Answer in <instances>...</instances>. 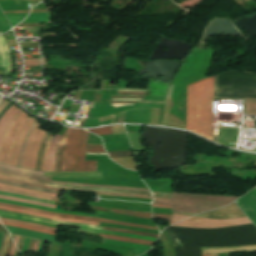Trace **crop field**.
Wrapping results in <instances>:
<instances>
[{"mask_svg": "<svg viewBox=\"0 0 256 256\" xmlns=\"http://www.w3.org/2000/svg\"><path fill=\"white\" fill-rule=\"evenodd\" d=\"M173 242L176 256H201V248L256 245V227L253 224L220 228L165 229Z\"/></svg>", "mask_w": 256, "mask_h": 256, "instance_id": "obj_1", "label": "crop field"}, {"mask_svg": "<svg viewBox=\"0 0 256 256\" xmlns=\"http://www.w3.org/2000/svg\"><path fill=\"white\" fill-rule=\"evenodd\" d=\"M214 76L187 86V126L212 141Z\"/></svg>", "mask_w": 256, "mask_h": 256, "instance_id": "obj_2", "label": "crop field"}, {"mask_svg": "<svg viewBox=\"0 0 256 256\" xmlns=\"http://www.w3.org/2000/svg\"><path fill=\"white\" fill-rule=\"evenodd\" d=\"M88 132L68 128L58 149L64 156L63 171H96V161H84L85 152H105L102 146L86 145Z\"/></svg>", "mask_w": 256, "mask_h": 256, "instance_id": "obj_3", "label": "crop field"}, {"mask_svg": "<svg viewBox=\"0 0 256 256\" xmlns=\"http://www.w3.org/2000/svg\"><path fill=\"white\" fill-rule=\"evenodd\" d=\"M236 199L235 197L227 196L173 193L172 199H169L172 202L153 200V203L171 205L173 213L194 215L224 207Z\"/></svg>", "mask_w": 256, "mask_h": 256, "instance_id": "obj_4", "label": "crop field"}, {"mask_svg": "<svg viewBox=\"0 0 256 256\" xmlns=\"http://www.w3.org/2000/svg\"><path fill=\"white\" fill-rule=\"evenodd\" d=\"M30 119L31 118L23 112L11 125L2 147L0 156L1 163L12 164L19 136Z\"/></svg>", "mask_w": 256, "mask_h": 256, "instance_id": "obj_5", "label": "crop field"}, {"mask_svg": "<svg viewBox=\"0 0 256 256\" xmlns=\"http://www.w3.org/2000/svg\"><path fill=\"white\" fill-rule=\"evenodd\" d=\"M0 216L8 217V218H14V219H20V220H24V221H29V222L49 226V227H56L58 223H61V224H66V225H71V226H81L80 230H82V231H89V232L102 233V234L120 235V236H126V237H133V238H140V239L156 241V239H154V238H148V237H141V236H134V235L104 231V230H102V227L48 220V219L37 218V217L17 214V213L8 212V211H1L0 210Z\"/></svg>", "mask_w": 256, "mask_h": 256, "instance_id": "obj_6", "label": "crop field"}, {"mask_svg": "<svg viewBox=\"0 0 256 256\" xmlns=\"http://www.w3.org/2000/svg\"><path fill=\"white\" fill-rule=\"evenodd\" d=\"M249 223L251 222L247 219V217L225 219V220L190 217L173 226L189 227V228H219V227L235 226V225H242V224H249Z\"/></svg>", "mask_w": 256, "mask_h": 256, "instance_id": "obj_7", "label": "crop field"}, {"mask_svg": "<svg viewBox=\"0 0 256 256\" xmlns=\"http://www.w3.org/2000/svg\"><path fill=\"white\" fill-rule=\"evenodd\" d=\"M39 127L40 125L38 123L28 139L21 167L31 168L33 170L35 168L40 142L46 133L45 131L40 130Z\"/></svg>", "mask_w": 256, "mask_h": 256, "instance_id": "obj_8", "label": "crop field"}, {"mask_svg": "<svg viewBox=\"0 0 256 256\" xmlns=\"http://www.w3.org/2000/svg\"><path fill=\"white\" fill-rule=\"evenodd\" d=\"M0 175L1 176H7V177L24 179V180H28V181H32V182H36V183H42V184H47V185L57 186V187H65V188H73V189H84V190L111 191V192H121V193H128V194H137V195L151 196L149 191H137V190H127V189H114V188H95V187H85V186H78V185L46 183V182L39 181V180L23 178V177L9 175V174H5V173H0Z\"/></svg>", "mask_w": 256, "mask_h": 256, "instance_id": "obj_9", "label": "crop field"}, {"mask_svg": "<svg viewBox=\"0 0 256 256\" xmlns=\"http://www.w3.org/2000/svg\"><path fill=\"white\" fill-rule=\"evenodd\" d=\"M0 205L9 206V207H15V208H19V209H23V210H28V211H33V212H38V213H42V214L60 216V217H65V218H73V219H82V220H91V221L107 222V223H113V224H119V225H125V226H133V227H140V228H147V229H155V230H158L157 228L146 227V226H140V225H135V224L123 223V222H117V221H112V220H107V219H101V218H88V217H81V216L68 215V214H61V213L45 212V211H40V210H36V209H31V208H26V207H21V206L6 204V203H0Z\"/></svg>", "mask_w": 256, "mask_h": 256, "instance_id": "obj_10", "label": "crop field"}, {"mask_svg": "<svg viewBox=\"0 0 256 256\" xmlns=\"http://www.w3.org/2000/svg\"><path fill=\"white\" fill-rule=\"evenodd\" d=\"M236 203L256 225V190L254 189L247 195L241 197Z\"/></svg>", "mask_w": 256, "mask_h": 256, "instance_id": "obj_11", "label": "crop field"}, {"mask_svg": "<svg viewBox=\"0 0 256 256\" xmlns=\"http://www.w3.org/2000/svg\"><path fill=\"white\" fill-rule=\"evenodd\" d=\"M198 217H207V218H233V217H242L245 216L243 212L238 208V206L233 203L225 208H222L220 210L198 214L196 215Z\"/></svg>", "mask_w": 256, "mask_h": 256, "instance_id": "obj_12", "label": "crop field"}, {"mask_svg": "<svg viewBox=\"0 0 256 256\" xmlns=\"http://www.w3.org/2000/svg\"><path fill=\"white\" fill-rule=\"evenodd\" d=\"M5 227L10 233H13V234L23 235V236H28V237H33V238H38V239H43L48 241L54 240L53 235L40 233V232L27 230V229H22V228H17V227H10V226H5Z\"/></svg>", "mask_w": 256, "mask_h": 256, "instance_id": "obj_13", "label": "crop field"}, {"mask_svg": "<svg viewBox=\"0 0 256 256\" xmlns=\"http://www.w3.org/2000/svg\"><path fill=\"white\" fill-rule=\"evenodd\" d=\"M0 209L1 210H9V211L17 212V213L29 214V215L38 216V217L50 218V219H54V220L69 221V222H76V223H83V224L98 225V226H100V224L96 223V222L65 219V218H60V217H54V216H48V215H42V214H37V213H33V212L18 210V209L9 208V207L0 206Z\"/></svg>", "mask_w": 256, "mask_h": 256, "instance_id": "obj_14", "label": "crop field"}, {"mask_svg": "<svg viewBox=\"0 0 256 256\" xmlns=\"http://www.w3.org/2000/svg\"><path fill=\"white\" fill-rule=\"evenodd\" d=\"M0 66L5 68V73H10L11 59L3 35L0 36Z\"/></svg>", "mask_w": 256, "mask_h": 256, "instance_id": "obj_15", "label": "crop field"}, {"mask_svg": "<svg viewBox=\"0 0 256 256\" xmlns=\"http://www.w3.org/2000/svg\"><path fill=\"white\" fill-rule=\"evenodd\" d=\"M1 172L5 173H10V174H15L19 176H24V177H29V178H36L39 180L46 179L47 182H58V181H51L50 177H41V176H36V175H31V174H25V173H20V172H15V171H9V170H3L0 169ZM58 183H68V184H78V185H87V186H97V187H113V186H99V185H88V184H80V183H70V182H58ZM114 188H127V187H114ZM128 189H141V188H128ZM142 190H148V189H142Z\"/></svg>", "mask_w": 256, "mask_h": 256, "instance_id": "obj_16", "label": "crop field"}, {"mask_svg": "<svg viewBox=\"0 0 256 256\" xmlns=\"http://www.w3.org/2000/svg\"><path fill=\"white\" fill-rule=\"evenodd\" d=\"M60 138H61V136L56 135V137L54 138V140L52 141V143L49 147L48 159H47V165H46L45 171H53L55 155H56V150H57V144H58Z\"/></svg>", "mask_w": 256, "mask_h": 256, "instance_id": "obj_17", "label": "crop field"}, {"mask_svg": "<svg viewBox=\"0 0 256 256\" xmlns=\"http://www.w3.org/2000/svg\"><path fill=\"white\" fill-rule=\"evenodd\" d=\"M0 202H6V203H11V204L26 206V207H31V208L45 210V211L61 212V213L84 215V216H92V217L96 216V215H93V214L74 212V211H67V210H59V209H51V208H44V207H40V206H36V205H32V204H26V203H20V202H12V201H6V200H1V199H0Z\"/></svg>", "mask_w": 256, "mask_h": 256, "instance_id": "obj_18", "label": "crop field"}, {"mask_svg": "<svg viewBox=\"0 0 256 256\" xmlns=\"http://www.w3.org/2000/svg\"><path fill=\"white\" fill-rule=\"evenodd\" d=\"M90 209L104 210V211H108V212L119 213V214L129 215V216H133V217L151 219V213L121 211V210H113V209H109V208H98V207H90Z\"/></svg>", "mask_w": 256, "mask_h": 256, "instance_id": "obj_19", "label": "crop field"}, {"mask_svg": "<svg viewBox=\"0 0 256 256\" xmlns=\"http://www.w3.org/2000/svg\"><path fill=\"white\" fill-rule=\"evenodd\" d=\"M30 22H49V14L48 13L29 14L27 19L22 23H30Z\"/></svg>", "mask_w": 256, "mask_h": 256, "instance_id": "obj_20", "label": "crop field"}, {"mask_svg": "<svg viewBox=\"0 0 256 256\" xmlns=\"http://www.w3.org/2000/svg\"><path fill=\"white\" fill-rule=\"evenodd\" d=\"M100 235L102 237L108 238V239L129 241V242H133V243H137V244H143V245H149V246H153V244H154V242H152V241H145V240H139V239L125 238V237H117V236H110V235H102V234H100Z\"/></svg>", "mask_w": 256, "mask_h": 256, "instance_id": "obj_21", "label": "crop field"}, {"mask_svg": "<svg viewBox=\"0 0 256 256\" xmlns=\"http://www.w3.org/2000/svg\"><path fill=\"white\" fill-rule=\"evenodd\" d=\"M102 243L123 245V246L132 247V248H140V249H146V250H149L151 248L149 246L137 245V244H133V243H129V242L111 241V240H104V239H103Z\"/></svg>", "mask_w": 256, "mask_h": 256, "instance_id": "obj_22", "label": "crop field"}, {"mask_svg": "<svg viewBox=\"0 0 256 256\" xmlns=\"http://www.w3.org/2000/svg\"><path fill=\"white\" fill-rule=\"evenodd\" d=\"M103 229L111 230V231H116V232H123V233H130V234L154 237V238H157V236H158L156 234L145 233V232H140V231H133V230L115 229V228H107V227H103Z\"/></svg>", "mask_w": 256, "mask_h": 256, "instance_id": "obj_23", "label": "crop field"}, {"mask_svg": "<svg viewBox=\"0 0 256 256\" xmlns=\"http://www.w3.org/2000/svg\"><path fill=\"white\" fill-rule=\"evenodd\" d=\"M0 183L8 184V185H14V186H19V187H24V188H29V189H34V190H39V191H44V192H49V193H54V194H58L59 193L57 191L46 190V189L39 188V187H33V186H28V185H23V184L3 181V180H0Z\"/></svg>", "mask_w": 256, "mask_h": 256, "instance_id": "obj_24", "label": "crop field"}, {"mask_svg": "<svg viewBox=\"0 0 256 256\" xmlns=\"http://www.w3.org/2000/svg\"><path fill=\"white\" fill-rule=\"evenodd\" d=\"M23 111L20 109L18 110L13 116L12 118L7 122L3 132H2V135H1V138H0V151H1V147H2V144H3V140H4V136L6 134V132L8 131L10 125L13 123V121L16 119V117L22 113Z\"/></svg>", "mask_w": 256, "mask_h": 256, "instance_id": "obj_25", "label": "crop field"}, {"mask_svg": "<svg viewBox=\"0 0 256 256\" xmlns=\"http://www.w3.org/2000/svg\"><path fill=\"white\" fill-rule=\"evenodd\" d=\"M0 190L18 193V194L27 195V196H32V197L41 198V199H47V200H53V201L58 200L57 198H54V197L42 196V195H37V194H32V193H27V192L13 191V190H8V189H4V188H0Z\"/></svg>", "mask_w": 256, "mask_h": 256, "instance_id": "obj_26", "label": "crop field"}, {"mask_svg": "<svg viewBox=\"0 0 256 256\" xmlns=\"http://www.w3.org/2000/svg\"><path fill=\"white\" fill-rule=\"evenodd\" d=\"M0 219L4 220V221H10V222H15V223H20V224L28 225V226H32V227H36V228H40V229H44V230H52V231H56L57 230V229H54V228H49V227H45V226H41V225L29 223V222L16 221V220L2 218V217H0Z\"/></svg>", "mask_w": 256, "mask_h": 256, "instance_id": "obj_27", "label": "crop field"}, {"mask_svg": "<svg viewBox=\"0 0 256 256\" xmlns=\"http://www.w3.org/2000/svg\"><path fill=\"white\" fill-rule=\"evenodd\" d=\"M34 121H35V118H33V119L27 124L25 130H24L23 133L21 134V138H20V140H19V142H18V146H17V150H16V155H15L14 162H13L12 165H15V166H16V164H17V158H18V154H19V150H20V146H21V142H22V140H23V138H24V135H25L27 129L33 124Z\"/></svg>", "mask_w": 256, "mask_h": 256, "instance_id": "obj_28", "label": "crop field"}, {"mask_svg": "<svg viewBox=\"0 0 256 256\" xmlns=\"http://www.w3.org/2000/svg\"><path fill=\"white\" fill-rule=\"evenodd\" d=\"M0 168L9 169V170H15V171H20V172H25V173H31V174H37V175H43L42 172H36V171L27 170V169H22V168L13 167V166H8V165H4V164H0Z\"/></svg>", "mask_w": 256, "mask_h": 256, "instance_id": "obj_29", "label": "crop field"}, {"mask_svg": "<svg viewBox=\"0 0 256 256\" xmlns=\"http://www.w3.org/2000/svg\"><path fill=\"white\" fill-rule=\"evenodd\" d=\"M36 124H37V121H35L34 124L28 129V131H27V133H26V136H25V138H24V140H23V142H22L21 151H20V156H19V160H18V164H17V166H19V167H20V165H21L22 154H23V150H24L26 141H27V139H28L29 134L31 133V131L33 130V128L36 126Z\"/></svg>", "mask_w": 256, "mask_h": 256, "instance_id": "obj_30", "label": "crop field"}, {"mask_svg": "<svg viewBox=\"0 0 256 256\" xmlns=\"http://www.w3.org/2000/svg\"><path fill=\"white\" fill-rule=\"evenodd\" d=\"M0 195L25 198V199H30V200H35V201H40V202H45V203H50V204L55 203L53 201L41 200V199H36V198H31V197H27V196H22V195H17V194H13V193H7V192H1V191H0Z\"/></svg>", "mask_w": 256, "mask_h": 256, "instance_id": "obj_31", "label": "crop field"}, {"mask_svg": "<svg viewBox=\"0 0 256 256\" xmlns=\"http://www.w3.org/2000/svg\"><path fill=\"white\" fill-rule=\"evenodd\" d=\"M0 198L1 199H6V200H13V201H20V202L37 204V205H43V206H48V207H53V208L56 207V206H52V205H48V204L38 203V202L29 201V200H25V199H19V198H11V197H5V196H0Z\"/></svg>", "mask_w": 256, "mask_h": 256, "instance_id": "obj_32", "label": "crop field"}, {"mask_svg": "<svg viewBox=\"0 0 256 256\" xmlns=\"http://www.w3.org/2000/svg\"><path fill=\"white\" fill-rule=\"evenodd\" d=\"M110 158L132 156L131 151L107 152Z\"/></svg>", "mask_w": 256, "mask_h": 256, "instance_id": "obj_33", "label": "crop field"}, {"mask_svg": "<svg viewBox=\"0 0 256 256\" xmlns=\"http://www.w3.org/2000/svg\"><path fill=\"white\" fill-rule=\"evenodd\" d=\"M89 131L97 134V135H106V134H112L110 126L100 128V129H90Z\"/></svg>", "mask_w": 256, "mask_h": 256, "instance_id": "obj_34", "label": "crop field"}, {"mask_svg": "<svg viewBox=\"0 0 256 256\" xmlns=\"http://www.w3.org/2000/svg\"><path fill=\"white\" fill-rule=\"evenodd\" d=\"M1 222H2L3 224H5V225L17 226V227L32 229V230L41 231V232H45V233H50V234L56 235V232L44 231V230H40V229H36V228H32V227H28V226H24V225H20V224H15V223H9V222H4V221H1Z\"/></svg>", "mask_w": 256, "mask_h": 256, "instance_id": "obj_35", "label": "crop field"}, {"mask_svg": "<svg viewBox=\"0 0 256 256\" xmlns=\"http://www.w3.org/2000/svg\"><path fill=\"white\" fill-rule=\"evenodd\" d=\"M49 135H50V134L46 133V135L44 136V138H43V140H42L35 170H39V167H40V160H41V154H42V151H43V147H44L45 141H46V139H47V137H48Z\"/></svg>", "mask_w": 256, "mask_h": 256, "instance_id": "obj_36", "label": "crop field"}, {"mask_svg": "<svg viewBox=\"0 0 256 256\" xmlns=\"http://www.w3.org/2000/svg\"><path fill=\"white\" fill-rule=\"evenodd\" d=\"M25 66H38L41 65L40 58L24 59Z\"/></svg>", "mask_w": 256, "mask_h": 256, "instance_id": "obj_37", "label": "crop field"}, {"mask_svg": "<svg viewBox=\"0 0 256 256\" xmlns=\"http://www.w3.org/2000/svg\"><path fill=\"white\" fill-rule=\"evenodd\" d=\"M189 217L188 215H179V214H173L171 221L169 222V225L176 223L180 220H183L185 218Z\"/></svg>", "mask_w": 256, "mask_h": 256, "instance_id": "obj_38", "label": "crop field"}, {"mask_svg": "<svg viewBox=\"0 0 256 256\" xmlns=\"http://www.w3.org/2000/svg\"><path fill=\"white\" fill-rule=\"evenodd\" d=\"M172 215L153 213V219L169 221Z\"/></svg>", "mask_w": 256, "mask_h": 256, "instance_id": "obj_39", "label": "crop field"}, {"mask_svg": "<svg viewBox=\"0 0 256 256\" xmlns=\"http://www.w3.org/2000/svg\"><path fill=\"white\" fill-rule=\"evenodd\" d=\"M3 178H7V177H3ZM7 179L23 181V180L13 179V178H7ZM23 182H28V181H23ZM28 183H32V182H28ZM33 184H35V183H33ZM37 185H40V184H37ZM41 186H45V185H41ZM45 187H49V186H45ZM51 188H56V187H51ZM61 189H64V188H61ZM66 190H73V189H66ZM79 191H82V190H79ZM87 192H97V191H87ZM99 193L121 194V193H111V192H99ZM125 195H128V194H125Z\"/></svg>", "mask_w": 256, "mask_h": 256, "instance_id": "obj_40", "label": "crop field"}, {"mask_svg": "<svg viewBox=\"0 0 256 256\" xmlns=\"http://www.w3.org/2000/svg\"><path fill=\"white\" fill-rule=\"evenodd\" d=\"M18 109H19V108L16 107V108L7 116V118L4 120L3 124H2L1 127H0V135H1V132H2V130H3V127H4L5 123L10 119V117H11Z\"/></svg>", "mask_w": 256, "mask_h": 256, "instance_id": "obj_41", "label": "crop field"}, {"mask_svg": "<svg viewBox=\"0 0 256 256\" xmlns=\"http://www.w3.org/2000/svg\"><path fill=\"white\" fill-rule=\"evenodd\" d=\"M153 196H159V197H167V198H171L172 194H168V193H163L161 194L160 192H152Z\"/></svg>", "mask_w": 256, "mask_h": 256, "instance_id": "obj_42", "label": "crop field"}, {"mask_svg": "<svg viewBox=\"0 0 256 256\" xmlns=\"http://www.w3.org/2000/svg\"><path fill=\"white\" fill-rule=\"evenodd\" d=\"M16 106H12V107H10L5 113H4V115L1 117V119H0V125H1V123L3 122V120L6 118V116L9 114V112L13 109V108H15Z\"/></svg>", "mask_w": 256, "mask_h": 256, "instance_id": "obj_43", "label": "crop field"}, {"mask_svg": "<svg viewBox=\"0 0 256 256\" xmlns=\"http://www.w3.org/2000/svg\"><path fill=\"white\" fill-rule=\"evenodd\" d=\"M101 91H95L93 101L100 102Z\"/></svg>", "mask_w": 256, "mask_h": 256, "instance_id": "obj_44", "label": "crop field"}, {"mask_svg": "<svg viewBox=\"0 0 256 256\" xmlns=\"http://www.w3.org/2000/svg\"><path fill=\"white\" fill-rule=\"evenodd\" d=\"M12 244H13V242H12V240L9 238L8 245H7L6 252H5V256H8Z\"/></svg>", "mask_w": 256, "mask_h": 256, "instance_id": "obj_45", "label": "crop field"}, {"mask_svg": "<svg viewBox=\"0 0 256 256\" xmlns=\"http://www.w3.org/2000/svg\"><path fill=\"white\" fill-rule=\"evenodd\" d=\"M29 240H30V239L26 238L25 244H24V247H23V250H22L21 254L26 251V248H27V245H28V243H29Z\"/></svg>", "mask_w": 256, "mask_h": 256, "instance_id": "obj_46", "label": "crop field"}, {"mask_svg": "<svg viewBox=\"0 0 256 256\" xmlns=\"http://www.w3.org/2000/svg\"><path fill=\"white\" fill-rule=\"evenodd\" d=\"M34 241L33 239H31L30 243H29V246H28V250L27 251H30L33 249V245H34Z\"/></svg>", "mask_w": 256, "mask_h": 256, "instance_id": "obj_47", "label": "crop field"}, {"mask_svg": "<svg viewBox=\"0 0 256 256\" xmlns=\"http://www.w3.org/2000/svg\"><path fill=\"white\" fill-rule=\"evenodd\" d=\"M118 91L145 92V90H128V89H118Z\"/></svg>", "mask_w": 256, "mask_h": 256, "instance_id": "obj_48", "label": "crop field"}, {"mask_svg": "<svg viewBox=\"0 0 256 256\" xmlns=\"http://www.w3.org/2000/svg\"><path fill=\"white\" fill-rule=\"evenodd\" d=\"M100 195H109V194H100ZM112 196H125V195H112ZM126 197H138V198H147V199H151L148 197H139V196H126Z\"/></svg>", "mask_w": 256, "mask_h": 256, "instance_id": "obj_49", "label": "crop field"}, {"mask_svg": "<svg viewBox=\"0 0 256 256\" xmlns=\"http://www.w3.org/2000/svg\"><path fill=\"white\" fill-rule=\"evenodd\" d=\"M52 139H53V137H51V139H50V141H49V143H48V146H47V148H46L43 170H44V168H45V160H46V155H47V149H48L49 144H50V142L52 141ZM43 170H42V171H43Z\"/></svg>", "mask_w": 256, "mask_h": 256, "instance_id": "obj_50", "label": "crop field"}, {"mask_svg": "<svg viewBox=\"0 0 256 256\" xmlns=\"http://www.w3.org/2000/svg\"><path fill=\"white\" fill-rule=\"evenodd\" d=\"M152 207L171 208L170 206H167V205H158V204H153Z\"/></svg>", "mask_w": 256, "mask_h": 256, "instance_id": "obj_51", "label": "crop field"}, {"mask_svg": "<svg viewBox=\"0 0 256 256\" xmlns=\"http://www.w3.org/2000/svg\"><path fill=\"white\" fill-rule=\"evenodd\" d=\"M15 250H16V247H15V245L13 244V246H12V249H11V252H10L9 256H13V255H14V253H15Z\"/></svg>", "mask_w": 256, "mask_h": 256, "instance_id": "obj_52", "label": "crop field"}, {"mask_svg": "<svg viewBox=\"0 0 256 256\" xmlns=\"http://www.w3.org/2000/svg\"><path fill=\"white\" fill-rule=\"evenodd\" d=\"M51 136H52V135H51ZM51 136H50V137H51ZM50 137H49V138H50ZM48 140H49V139H48ZM48 140H47V142H46V144H45V147H46V145H47V143H48ZM44 151H45V148H44ZM44 151H43V155H42L40 170L42 169V165H43Z\"/></svg>", "mask_w": 256, "mask_h": 256, "instance_id": "obj_53", "label": "crop field"}, {"mask_svg": "<svg viewBox=\"0 0 256 256\" xmlns=\"http://www.w3.org/2000/svg\"><path fill=\"white\" fill-rule=\"evenodd\" d=\"M9 103V101H5L1 106H0V112L3 110V108Z\"/></svg>", "mask_w": 256, "mask_h": 256, "instance_id": "obj_54", "label": "crop field"}, {"mask_svg": "<svg viewBox=\"0 0 256 256\" xmlns=\"http://www.w3.org/2000/svg\"><path fill=\"white\" fill-rule=\"evenodd\" d=\"M0 179H2V178H0ZM3 180H7V179H3ZM8 181H11V180H8ZM13 182H17V181H13ZM18 183H23V182H18ZM23 184H28V183H23ZM28 185H32V184H28ZM34 186H36V185H34ZM46 189H49V188H46ZM51 190H55V189H51ZM57 191H59V190H57Z\"/></svg>", "mask_w": 256, "mask_h": 256, "instance_id": "obj_55", "label": "crop field"}, {"mask_svg": "<svg viewBox=\"0 0 256 256\" xmlns=\"http://www.w3.org/2000/svg\"><path fill=\"white\" fill-rule=\"evenodd\" d=\"M114 107H118V106H124V105H134V104H111Z\"/></svg>", "mask_w": 256, "mask_h": 256, "instance_id": "obj_56", "label": "crop field"}, {"mask_svg": "<svg viewBox=\"0 0 256 256\" xmlns=\"http://www.w3.org/2000/svg\"><path fill=\"white\" fill-rule=\"evenodd\" d=\"M8 237H9V235L7 236V239H6L5 243H4V249H3V252H2V255H1V256H3V253H4V251H5L6 244H7V241H8Z\"/></svg>", "mask_w": 256, "mask_h": 256, "instance_id": "obj_57", "label": "crop field"}, {"mask_svg": "<svg viewBox=\"0 0 256 256\" xmlns=\"http://www.w3.org/2000/svg\"><path fill=\"white\" fill-rule=\"evenodd\" d=\"M0 231H3V232L8 233V232L6 231V229H5L2 225H0Z\"/></svg>", "mask_w": 256, "mask_h": 256, "instance_id": "obj_58", "label": "crop field"}, {"mask_svg": "<svg viewBox=\"0 0 256 256\" xmlns=\"http://www.w3.org/2000/svg\"><path fill=\"white\" fill-rule=\"evenodd\" d=\"M6 235H7V234L4 235L3 243H4L5 239H6ZM3 243H2V246H1V251H0V253L2 252V249H3Z\"/></svg>", "mask_w": 256, "mask_h": 256, "instance_id": "obj_59", "label": "crop field"}, {"mask_svg": "<svg viewBox=\"0 0 256 256\" xmlns=\"http://www.w3.org/2000/svg\"><path fill=\"white\" fill-rule=\"evenodd\" d=\"M3 235H4V234L0 233V246H1V242H2Z\"/></svg>", "mask_w": 256, "mask_h": 256, "instance_id": "obj_60", "label": "crop field"}, {"mask_svg": "<svg viewBox=\"0 0 256 256\" xmlns=\"http://www.w3.org/2000/svg\"><path fill=\"white\" fill-rule=\"evenodd\" d=\"M18 239H19V237L15 236L14 241L16 244H18Z\"/></svg>", "mask_w": 256, "mask_h": 256, "instance_id": "obj_61", "label": "crop field"}, {"mask_svg": "<svg viewBox=\"0 0 256 256\" xmlns=\"http://www.w3.org/2000/svg\"><path fill=\"white\" fill-rule=\"evenodd\" d=\"M43 65H47L46 58L42 59Z\"/></svg>", "mask_w": 256, "mask_h": 256, "instance_id": "obj_62", "label": "crop field"}, {"mask_svg": "<svg viewBox=\"0 0 256 256\" xmlns=\"http://www.w3.org/2000/svg\"><path fill=\"white\" fill-rule=\"evenodd\" d=\"M5 101V99L1 98L0 105Z\"/></svg>", "mask_w": 256, "mask_h": 256, "instance_id": "obj_63", "label": "crop field"}, {"mask_svg": "<svg viewBox=\"0 0 256 256\" xmlns=\"http://www.w3.org/2000/svg\"><path fill=\"white\" fill-rule=\"evenodd\" d=\"M86 154H106V153H86Z\"/></svg>", "mask_w": 256, "mask_h": 256, "instance_id": "obj_64", "label": "crop field"}, {"mask_svg": "<svg viewBox=\"0 0 256 256\" xmlns=\"http://www.w3.org/2000/svg\"><path fill=\"white\" fill-rule=\"evenodd\" d=\"M202 256H210V254H202Z\"/></svg>", "mask_w": 256, "mask_h": 256, "instance_id": "obj_65", "label": "crop field"}, {"mask_svg": "<svg viewBox=\"0 0 256 256\" xmlns=\"http://www.w3.org/2000/svg\"><path fill=\"white\" fill-rule=\"evenodd\" d=\"M211 256H218V254H211Z\"/></svg>", "mask_w": 256, "mask_h": 256, "instance_id": "obj_66", "label": "crop field"}, {"mask_svg": "<svg viewBox=\"0 0 256 256\" xmlns=\"http://www.w3.org/2000/svg\"><path fill=\"white\" fill-rule=\"evenodd\" d=\"M162 111H163V109H162ZM162 111H161V116H162ZM160 122H161V117H160ZM160 122H159V124H160Z\"/></svg>", "mask_w": 256, "mask_h": 256, "instance_id": "obj_67", "label": "crop field"}, {"mask_svg": "<svg viewBox=\"0 0 256 256\" xmlns=\"http://www.w3.org/2000/svg\"><path fill=\"white\" fill-rule=\"evenodd\" d=\"M154 199H156V198H154ZM157 200H162V199H157ZM168 201V200H167Z\"/></svg>", "mask_w": 256, "mask_h": 256, "instance_id": "obj_68", "label": "crop field"}, {"mask_svg": "<svg viewBox=\"0 0 256 256\" xmlns=\"http://www.w3.org/2000/svg\"><path fill=\"white\" fill-rule=\"evenodd\" d=\"M126 88H127V81H126Z\"/></svg>", "mask_w": 256, "mask_h": 256, "instance_id": "obj_69", "label": "crop field"}, {"mask_svg": "<svg viewBox=\"0 0 256 256\" xmlns=\"http://www.w3.org/2000/svg\"><path fill=\"white\" fill-rule=\"evenodd\" d=\"M0 34H2L1 31H0Z\"/></svg>", "mask_w": 256, "mask_h": 256, "instance_id": "obj_70", "label": "crop field"}, {"mask_svg": "<svg viewBox=\"0 0 256 256\" xmlns=\"http://www.w3.org/2000/svg\"><path fill=\"white\" fill-rule=\"evenodd\" d=\"M0 224H1V222H0Z\"/></svg>", "mask_w": 256, "mask_h": 256, "instance_id": "obj_71", "label": "crop field"}, {"mask_svg": "<svg viewBox=\"0 0 256 256\" xmlns=\"http://www.w3.org/2000/svg\"><path fill=\"white\" fill-rule=\"evenodd\" d=\"M256 189V188H255Z\"/></svg>", "mask_w": 256, "mask_h": 256, "instance_id": "obj_72", "label": "crop field"}]
</instances>
